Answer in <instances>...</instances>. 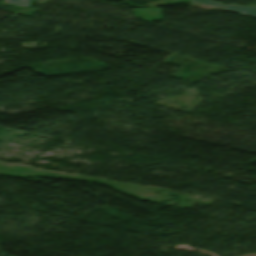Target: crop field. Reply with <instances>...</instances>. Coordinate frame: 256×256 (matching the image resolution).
<instances>
[{
    "label": "crop field",
    "instance_id": "obj_1",
    "mask_svg": "<svg viewBox=\"0 0 256 256\" xmlns=\"http://www.w3.org/2000/svg\"><path fill=\"white\" fill-rule=\"evenodd\" d=\"M191 2L206 4L210 6H220V7H224L225 10L237 12L240 14H244V15H248L256 18V7L225 6L211 0H192Z\"/></svg>",
    "mask_w": 256,
    "mask_h": 256
},
{
    "label": "crop field",
    "instance_id": "obj_2",
    "mask_svg": "<svg viewBox=\"0 0 256 256\" xmlns=\"http://www.w3.org/2000/svg\"><path fill=\"white\" fill-rule=\"evenodd\" d=\"M5 2L20 5V6H24V7H29L32 4L33 0H5ZM25 2H27L29 4L24 5Z\"/></svg>",
    "mask_w": 256,
    "mask_h": 256
}]
</instances>
